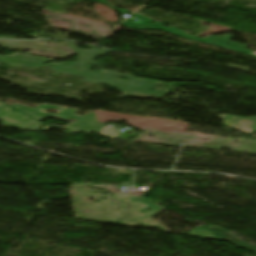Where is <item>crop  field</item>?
<instances>
[{"label":"crop field","instance_id":"34b2d1b8","mask_svg":"<svg viewBox=\"0 0 256 256\" xmlns=\"http://www.w3.org/2000/svg\"><path fill=\"white\" fill-rule=\"evenodd\" d=\"M74 186H93V187H98V188H106L114 193V195L111 197L112 199H115L117 201H126L129 204L132 205V208L127 210L126 212L132 214L129 216L127 219L119 222L121 225H126V226H133L138 223L144 225V226H157L160 229L169 232L170 230L166 229L162 225L152 221L149 217L154 215L155 213L161 211L165 207L146 201L142 198H140L136 194H128L122 192L120 189H117L115 187H112L110 185H86V184H75ZM140 208H150V212H146ZM135 220H132V219Z\"/></svg>","mask_w":256,"mask_h":256},{"label":"crop field","instance_id":"8a807250","mask_svg":"<svg viewBox=\"0 0 256 256\" xmlns=\"http://www.w3.org/2000/svg\"><path fill=\"white\" fill-rule=\"evenodd\" d=\"M70 47L76 51L80 57L78 62L93 66H99V63L93 62L92 59L107 54L109 51L94 48L92 46L86 45L91 50L82 51L74 47L73 42H69ZM0 61L11 66L25 67V68H40L51 66L55 69V72L68 73L85 78V81L105 84L109 87L116 88L124 92L130 97L136 98H151V97H161L165 92H167L172 86H166L160 82L144 81L139 80L128 74H118L114 71L102 70L98 73L89 72V66L77 64V63H67L62 62L60 65L50 64L44 65L46 62H51V59L33 57L23 54L15 53L10 56L0 57ZM123 76L128 80H120L119 77ZM149 90H155L154 92Z\"/></svg>","mask_w":256,"mask_h":256},{"label":"crop field","instance_id":"28ad6ade","mask_svg":"<svg viewBox=\"0 0 256 256\" xmlns=\"http://www.w3.org/2000/svg\"><path fill=\"white\" fill-rule=\"evenodd\" d=\"M253 54H255V55H256V52H255V53H253Z\"/></svg>","mask_w":256,"mask_h":256},{"label":"crop field","instance_id":"f4fd0767","mask_svg":"<svg viewBox=\"0 0 256 256\" xmlns=\"http://www.w3.org/2000/svg\"><path fill=\"white\" fill-rule=\"evenodd\" d=\"M11 107L0 102V117L4 121V127L10 128V126H22V129L37 130L42 125L35 119L26 116L23 113L20 115L10 113Z\"/></svg>","mask_w":256,"mask_h":256},{"label":"crop field","instance_id":"412701ff","mask_svg":"<svg viewBox=\"0 0 256 256\" xmlns=\"http://www.w3.org/2000/svg\"><path fill=\"white\" fill-rule=\"evenodd\" d=\"M133 16L145 19V20L153 22V23H157L159 25L157 26L155 24L148 23V22H145V21H143L139 24L126 21L124 24H122V26H126V27L136 29V30H147V29L165 30L167 32H170L172 34H175V35L180 36V37L185 38V39L205 42V43H208V44H212V45H215V46H218V47H222V48L229 49V50L236 51V52H240V53H248L249 52V51L245 50V48H246L245 45L237 44V43H234V42L228 43V42H230V41H228V39L231 38V36L228 35V34H225L221 37H219V36H209L206 39H202V38H197L195 36H192V35H190L186 32H183V31H181L179 29H176L174 27H171V26H170V28L164 27L163 26L164 23H160V22L150 20V19H148L144 16H141V15H138L136 13H134ZM213 41H218V43H214ZM227 44H232V46H227Z\"/></svg>","mask_w":256,"mask_h":256},{"label":"crop field","instance_id":"5a996713","mask_svg":"<svg viewBox=\"0 0 256 256\" xmlns=\"http://www.w3.org/2000/svg\"><path fill=\"white\" fill-rule=\"evenodd\" d=\"M96 1L101 2V3H103V4H106V5H109V6L112 7V5H110V4H109L108 2H106L105 0H96ZM113 8H115V9L121 11V12H125V13H128V12H129V11H126V10H123V9H119V8H116V7H113Z\"/></svg>","mask_w":256,"mask_h":256},{"label":"crop field","instance_id":"dd49c442","mask_svg":"<svg viewBox=\"0 0 256 256\" xmlns=\"http://www.w3.org/2000/svg\"><path fill=\"white\" fill-rule=\"evenodd\" d=\"M217 118H223L225 119L224 124L225 127L228 128H233L237 130H243V133H251L253 128H250L251 126L254 127L255 123L254 121L246 120V119H241L229 115H220V116H215ZM230 120L237 121L236 123L234 122H229ZM229 124L230 126H227Z\"/></svg>","mask_w":256,"mask_h":256},{"label":"crop field","instance_id":"ac0d7876","mask_svg":"<svg viewBox=\"0 0 256 256\" xmlns=\"http://www.w3.org/2000/svg\"><path fill=\"white\" fill-rule=\"evenodd\" d=\"M12 107H14L20 111H23V112L27 113L28 115L36 117L37 120H41L46 116L60 118V119H64V120H66L68 118L75 119L77 122H74L65 127V129L69 130L70 133H73V132H88V133L95 132L98 135H100L101 137H106V138H114L119 134L117 132L118 130L105 127L106 125L97 122L96 116L93 113L84 115L82 117L73 114L75 112L74 108L64 109L60 114H47L46 110H48V109L52 108V109H56L58 112H60L64 107L56 106V105H45V104H40L35 109L30 108L25 105H22V104H15ZM43 109L45 111H43L41 113L40 111Z\"/></svg>","mask_w":256,"mask_h":256},{"label":"crop field","instance_id":"e52e79f7","mask_svg":"<svg viewBox=\"0 0 256 256\" xmlns=\"http://www.w3.org/2000/svg\"><path fill=\"white\" fill-rule=\"evenodd\" d=\"M189 235H193L197 237L214 238V239H220V240L224 239L227 236L225 234H220L215 230H210L203 226L197 227L195 230L189 233Z\"/></svg>","mask_w":256,"mask_h":256},{"label":"crop field","instance_id":"d8731c3e","mask_svg":"<svg viewBox=\"0 0 256 256\" xmlns=\"http://www.w3.org/2000/svg\"><path fill=\"white\" fill-rule=\"evenodd\" d=\"M213 229H216V230H219V231H221L223 233L229 234L230 236L227 238V240H229L230 242L234 243L235 245L241 246V247H244L246 249H249V250H252V251L256 252V245L246 244L242 240H240L239 238L235 237L234 235L230 234L229 232H227V231H225L223 229L216 228V227H213Z\"/></svg>","mask_w":256,"mask_h":256},{"label":"crop field","instance_id":"3316defc","mask_svg":"<svg viewBox=\"0 0 256 256\" xmlns=\"http://www.w3.org/2000/svg\"><path fill=\"white\" fill-rule=\"evenodd\" d=\"M127 135H129V134L123 133V134L120 135L118 138H119V139H124ZM129 136H133V135H129ZM133 137H135V136H133Z\"/></svg>","mask_w":256,"mask_h":256},{"label":"crop field","instance_id":"d1516ede","mask_svg":"<svg viewBox=\"0 0 256 256\" xmlns=\"http://www.w3.org/2000/svg\"><path fill=\"white\" fill-rule=\"evenodd\" d=\"M256 131V130H255Z\"/></svg>","mask_w":256,"mask_h":256}]
</instances>
